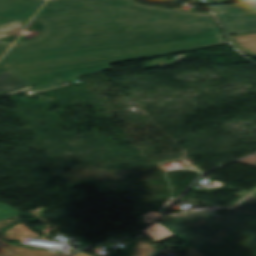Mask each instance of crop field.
<instances>
[{"instance_id": "obj_5", "label": "crop field", "mask_w": 256, "mask_h": 256, "mask_svg": "<svg viewBox=\"0 0 256 256\" xmlns=\"http://www.w3.org/2000/svg\"><path fill=\"white\" fill-rule=\"evenodd\" d=\"M45 0H0V25L18 19L30 20Z\"/></svg>"}, {"instance_id": "obj_8", "label": "crop field", "mask_w": 256, "mask_h": 256, "mask_svg": "<svg viewBox=\"0 0 256 256\" xmlns=\"http://www.w3.org/2000/svg\"><path fill=\"white\" fill-rule=\"evenodd\" d=\"M26 87L29 85L10 70L0 74V94L14 92Z\"/></svg>"}, {"instance_id": "obj_13", "label": "crop field", "mask_w": 256, "mask_h": 256, "mask_svg": "<svg viewBox=\"0 0 256 256\" xmlns=\"http://www.w3.org/2000/svg\"><path fill=\"white\" fill-rule=\"evenodd\" d=\"M221 37V36H220ZM215 38V37H213ZM206 39H209V38H206ZM199 40H203V39H199ZM192 41H196V40H192ZM186 42H190V41H186ZM179 43H184V42H179ZM172 44H177V43H172ZM165 45H171V44H165ZM165 45H158V46H151V47H159V46H165ZM151 47H144V48H151ZM136 49H143V48H136ZM129 50H135V49H129ZM122 51H127V50H122ZM115 52H118V51H115ZM110 53V52H108ZM102 54V53H100ZM94 55V54H93ZM86 56V55H85ZM76 57H79V56H76ZM66 58H71V57H66ZM57 59H64V58H57ZM57 59H49V60H57ZM41 61H48V60H41ZM34 62H38V61H34ZM28 63V62H26ZM21 64V63H20ZM15 65V64H14ZM12 66V65H11ZM10 66V67H11ZM10 69V68H9Z\"/></svg>"}, {"instance_id": "obj_12", "label": "crop field", "mask_w": 256, "mask_h": 256, "mask_svg": "<svg viewBox=\"0 0 256 256\" xmlns=\"http://www.w3.org/2000/svg\"><path fill=\"white\" fill-rule=\"evenodd\" d=\"M78 78H71V79H67V80H62V81H58V82H65V81H73V80H77ZM57 86V82H53V83H49V84H45V85H40V86H36L35 89L37 91L40 90H44V89H48V88H52V87H56Z\"/></svg>"}, {"instance_id": "obj_10", "label": "crop field", "mask_w": 256, "mask_h": 256, "mask_svg": "<svg viewBox=\"0 0 256 256\" xmlns=\"http://www.w3.org/2000/svg\"><path fill=\"white\" fill-rule=\"evenodd\" d=\"M143 233H145L147 236H149L151 239H153L157 243L172 236V234H170L166 229H164L157 222L150 229H148Z\"/></svg>"}, {"instance_id": "obj_14", "label": "crop field", "mask_w": 256, "mask_h": 256, "mask_svg": "<svg viewBox=\"0 0 256 256\" xmlns=\"http://www.w3.org/2000/svg\"><path fill=\"white\" fill-rule=\"evenodd\" d=\"M161 214L155 213V212H149V214L143 215L145 217L146 223L150 224L153 222L155 219H157ZM152 219V220H149Z\"/></svg>"}, {"instance_id": "obj_11", "label": "crop field", "mask_w": 256, "mask_h": 256, "mask_svg": "<svg viewBox=\"0 0 256 256\" xmlns=\"http://www.w3.org/2000/svg\"><path fill=\"white\" fill-rule=\"evenodd\" d=\"M18 214L19 212L11 209L10 206L0 203V220L7 219Z\"/></svg>"}, {"instance_id": "obj_2", "label": "crop field", "mask_w": 256, "mask_h": 256, "mask_svg": "<svg viewBox=\"0 0 256 256\" xmlns=\"http://www.w3.org/2000/svg\"><path fill=\"white\" fill-rule=\"evenodd\" d=\"M228 208L220 216L204 211L159 222L205 256H256V187Z\"/></svg>"}, {"instance_id": "obj_9", "label": "crop field", "mask_w": 256, "mask_h": 256, "mask_svg": "<svg viewBox=\"0 0 256 256\" xmlns=\"http://www.w3.org/2000/svg\"><path fill=\"white\" fill-rule=\"evenodd\" d=\"M231 43L245 55L256 54V34L229 37Z\"/></svg>"}, {"instance_id": "obj_7", "label": "crop field", "mask_w": 256, "mask_h": 256, "mask_svg": "<svg viewBox=\"0 0 256 256\" xmlns=\"http://www.w3.org/2000/svg\"><path fill=\"white\" fill-rule=\"evenodd\" d=\"M19 223V215L0 222V228ZM0 256H53L43 250L23 248L8 244L0 233Z\"/></svg>"}, {"instance_id": "obj_1", "label": "crop field", "mask_w": 256, "mask_h": 256, "mask_svg": "<svg viewBox=\"0 0 256 256\" xmlns=\"http://www.w3.org/2000/svg\"><path fill=\"white\" fill-rule=\"evenodd\" d=\"M32 41L0 44L10 64L222 35L212 15L139 5L134 0H49Z\"/></svg>"}, {"instance_id": "obj_6", "label": "crop field", "mask_w": 256, "mask_h": 256, "mask_svg": "<svg viewBox=\"0 0 256 256\" xmlns=\"http://www.w3.org/2000/svg\"><path fill=\"white\" fill-rule=\"evenodd\" d=\"M134 239H135L134 242L128 244L125 247L122 256H155L156 255L158 248H156L154 245H152L142 236L139 235ZM177 239H179L181 242L184 243L180 247L189 251L186 256H204L203 254L195 250L193 247L185 243L180 238L177 237Z\"/></svg>"}, {"instance_id": "obj_16", "label": "crop field", "mask_w": 256, "mask_h": 256, "mask_svg": "<svg viewBox=\"0 0 256 256\" xmlns=\"http://www.w3.org/2000/svg\"><path fill=\"white\" fill-rule=\"evenodd\" d=\"M76 256H89V255H87V254L81 252V253L77 254Z\"/></svg>"}, {"instance_id": "obj_4", "label": "crop field", "mask_w": 256, "mask_h": 256, "mask_svg": "<svg viewBox=\"0 0 256 256\" xmlns=\"http://www.w3.org/2000/svg\"><path fill=\"white\" fill-rule=\"evenodd\" d=\"M227 35L256 32V6L210 5Z\"/></svg>"}, {"instance_id": "obj_3", "label": "crop field", "mask_w": 256, "mask_h": 256, "mask_svg": "<svg viewBox=\"0 0 256 256\" xmlns=\"http://www.w3.org/2000/svg\"><path fill=\"white\" fill-rule=\"evenodd\" d=\"M226 43L225 38H215L159 48L118 52L49 62L12 66L10 69L32 86L75 76L108 70V64L167 55L182 50Z\"/></svg>"}, {"instance_id": "obj_15", "label": "crop field", "mask_w": 256, "mask_h": 256, "mask_svg": "<svg viewBox=\"0 0 256 256\" xmlns=\"http://www.w3.org/2000/svg\"><path fill=\"white\" fill-rule=\"evenodd\" d=\"M6 69H8V68H6L4 65H2V64L0 63V72L3 71V70H6Z\"/></svg>"}]
</instances>
